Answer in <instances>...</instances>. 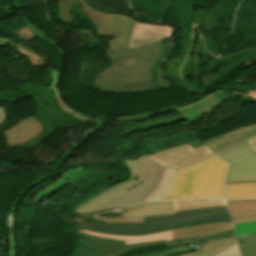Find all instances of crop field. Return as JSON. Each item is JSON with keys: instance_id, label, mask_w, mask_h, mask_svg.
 <instances>
[{"instance_id": "crop-field-26", "label": "crop field", "mask_w": 256, "mask_h": 256, "mask_svg": "<svg viewBox=\"0 0 256 256\" xmlns=\"http://www.w3.org/2000/svg\"><path fill=\"white\" fill-rule=\"evenodd\" d=\"M238 237L256 235V221L234 225Z\"/></svg>"}, {"instance_id": "crop-field-3", "label": "crop field", "mask_w": 256, "mask_h": 256, "mask_svg": "<svg viewBox=\"0 0 256 256\" xmlns=\"http://www.w3.org/2000/svg\"><path fill=\"white\" fill-rule=\"evenodd\" d=\"M227 167L226 163L215 156L180 170L174 187L165 200L224 197V172Z\"/></svg>"}, {"instance_id": "crop-field-14", "label": "crop field", "mask_w": 256, "mask_h": 256, "mask_svg": "<svg viewBox=\"0 0 256 256\" xmlns=\"http://www.w3.org/2000/svg\"><path fill=\"white\" fill-rule=\"evenodd\" d=\"M90 8L110 15H121L133 21L138 17L132 12L130 6L125 4V0H83Z\"/></svg>"}, {"instance_id": "crop-field-1", "label": "crop field", "mask_w": 256, "mask_h": 256, "mask_svg": "<svg viewBox=\"0 0 256 256\" xmlns=\"http://www.w3.org/2000/svg\"><path fill=\"white\" fill-rule=\"evenodd\" d=\"M231 221L225 206L175 212V215L144 217V223H81L78 228L110 235L142 236L181 227Z\"/></svg>"}, {"instance_id": "crop-field-16", "label": "crop field", "mask_w": 256, "mask_h": 256, "mask_svg": "<svg viewBox=\"0 0 256 256\" xmlns=\"http://www.w3.org/2000/svg\"><path fill=\"white\" fill-rule=\"evenodd\" d=\"M234 224L256 220L255 200H227Z\"/></svg>"}, {"instance_id": "crop-field-20", "label": "crop field", "mask_w": 256, "mask_h": 256, "mask_svg": "<svg viewBox=\"0 0 256 256\" xmlns=\"http://www.w3.org/2000/svg\"><path fill=\"white\" fill-rule=\"evenodd\" d=\"M236 243L234 237H227L223 239L214 240L204 247L199 249V252L195 251L181 256H213L216 253L226 249L232 244Z\"/></svg>"}, {"instance_id": "crop-field-33", "label": "crop field", "mask_w": 256, "mask_h": 256, "mask_svg": "<svg viewBox=\"0 0 256 256\" xmlns=\"http://www.w3.org/2000/svg\"><path fill=\"white\" fill-rule=\"evenodd\" d=\"M0 45H2V46H4V47H6V46H7V44H2L1 42H0Z\"/></svg>"}, {"instance_id": "crop-field-23", "label": "crop field", "mask_w": 256, "mask_h": 256, "mask_svg": "<svg viewBox=\"0 0 256 256\" xmlns=\"http://www.w3.org/2000/svg\"><path fill=\"white\" fill-rule=\"evenodd\" d=\"M58 172H60V171H57V170L52 169L51 172L48 173L47 175H45L44 177H42V178H40V179H38V180H36V181H34V182H32V183L26 185V186L23 188V190L20 192V194L18 195V197H17V199H16V201H15V203H14V205H13V208H12V215H13L14 208H15L17 202H18L20 199H22V198L28 196L26 193H27L31 188H33V187L39 185L40 183H42L43 181H45V180L48 179L49 177H51V176L57 174ZM13 225H14V219H13L12 230H11V236H12V256H16V253H15V246H16V244H15V241H14Z\"/></svg>"}, {"instance_id": "crop-field-13", "label": "crop field", "mask_w": 256, "mask_h": 256, "mask_svg": "<svg viewBox=\"0 0 256 256\" xmlns=\"http://www.w3.org/2000/svg\"><path fill=\"white\" fill-rule=\"evenodd\" d=\"M172 26L137 23L128 47L140 46L171 37Z\"/></svg>"}, {"instance_id": "crop-field-30", "label": "crop field", "mask_w": 256, "mask_h": 256, "mask_svg": "<svg viewBox=\"0 0 256 256\" xmlns=\"http://www.w3.org/2000/svg\"><path fill=\"white\" fill-rule=\"evenodd\" d=\"M233 234H234V229L224 231V232H221V233H217V234H213V235H209V236H204V237H201V238H202L203 241H207V240H211V239H215V238L230 236V235H233Z\"/></svg>"}, {"instance_id": "crop-field-27", "label": "crop field", "mask_w": 256, "mask_h": 256, "mask_svg": "<svg viewBox=\"0 0 256 256\" xmlns=\"http://www.w3.org/2000/svg\"><path fill=\"white\" fill-rule=\"evenodd\" d=\"M185 249H186V251H183ZM192 250H195V249L179 246V247L168 249V250H162V251L147 253V254H144V255H141V256H176L180 253H184V252L192 251Z\"/></svg>"}, {"instance_id": "crop-field-29", "label": "crop field", "mask_w": 256, "mask_h": 256, "mask_svg": "<svg viewBox=\"0 0 256 256\" xmlns=\"http://www.w3.org/2000/svg\"><path fill=\"white\" fill-rule=\"evenodd\" d=\"M215 256H240V252L237 247V244H234Z\"/></svg>"}, {"instance_id": "crop-field-24", "label": "crop field", "mask_w": 256, "mask_h": 256, "mask_svg": "<svg viewBox=\"0 0 256 256\" xmlns=\"http://www.w3.org/2000/svg\"><path fill=\"white\" fill-rule=\"evenodd\" d=\"M242 256H256V236L237 239Z\"/></svg>"}, {"instance_id": "crop-field-12", "label": "crop field", "mask_w": 256, "mask_h": 256, "mask_svg": "<svg viewBox=\"0 0 256 256\" xmlns=\"http://www.w3.org/2000/svg\"><path fill=\"white\" fill-rule=\"evenodd\" d=\"M256 136V125L242 127L223 134L217 138L205 141V144L215 154L226 150L234 145H238L243 141ZM235 147V146H234Z\"/></svg>"}, {"instance_id": "crop-field-7", "label": "crop field", "mask_w": 256, "mask_h": 256, "mask_svg": "<svg viewBox=\"0 0 256 256\" xmlns=\"http://www.w3.org/2000/svg\"><path fill=\"white\" fill-rule=\"evenodd\" d=\"M232 228H233L232 223L226 222V223H219V224H210V225L181 228V229H176L169 232H163V233H158V234L143 236V237L110 236V235H104V234L94 233L90 231H78V232L93 235V236L103 237V238H114V239L123 240V241H126L125 245H129V244L143 243V242L160 240V239L172 240V239H178V238L204 236V235H209V234L221 232V231L232 229Z\"/></svg>"}, {"instance_id": "crop-field-17", "label": "crop field", "mask_w": 256, "mask_h": 256, "mask_svg": "<svg viewBox=\"0 0 256 256\" xmlns=\"http://www.w3.org/2000/svg\"><path fill=\"white\" fill-rule=\"evenodd\" d=\"M112 21L115 28V34L114 39L109 41L110 48H126L135 23L117 16H112Z\"/></svg>"}, {"instance_id": "crop-field-15", "label": "crop field", "mask_w": 256, "mask_h": 256, "mask_svg": "<svg viewBox=\"0 0 256 256\" xmlns=\"http://www.w3.org/2000/svg\"><path fill=\"white\" fill-rule=\"evenodd\" d=\"M121 211L123 213V217L174 214L172 201L149 202L145 204L121 208Z\"/></svg>"}, {"instance_id": "crop-field-6", "label": "crop field", "mask_w": 256, "mask_h": 256, "mask_svg": "<svg viewBox=\"0 0 256 256\" xmlns=\"http://www.w3.org/2000/svg\"><path fill=\"white\" fill-rule=\"evenodd\" d=\"M152 159L153 158H151L149 155H143L136 161H124L130 171L131 179L118 185L112 186L108 191H105L104 193L96 196L94 199L80 206L74 211L76 213L91 212L92 210L100 207L111 199L117 197L118 195L128 191L130 188L139 185L141 182H143L146 170Z\"/></svg>"}, {"instance_id": "crop-field-9", "label": "crop field", "mask_w": 256, "mask_h": 256, "mask_svg": "<svg viewBox=\"0 0 256 256\" xmlns=\"http://www.w3.org/2000/svg\"><path fill=\"white\" fill-rule=\"evenodd\" d=\"M212 154L213 153L206 146L193 150L192 147L187 144L157 153L151 157L167 167L182 169L208 158L212 156Z\"/></svg>"}, {"instance_id": "crop-field-8", "label": "crop field", "mask_w": 256, "mask_h": 256, "mask_svg": "<svg viewBox=\"0 0 256 256\" xmlns=\"http://www.w3.org/2000/svg\"><path fill=\"white\" fill-rule=\"evenodd\" d=\"M163 170L164 166L153 160L147 170L144 182L142 184L120 195L116 199L106 203L94 211L142 203L158 187Z\"/></svg>"}, {"instance_id": "crop-field-5", "label": "crop field", "mask_w": 256, "mask_h": 256, "mask_svg": "<svg viewBox=\"0 0 256 256\" xmlns=\"http://www.w3.org/2000/svg\"><path fill=\"white\" fill-rule=\"evenodd\" d=\"M217 156L230 163L226 184L256 182V154L246 142Z\"/></svg>"}, {"instance_id": "crop-field-32", "label": "crop field", "mask_w": 256, "mask_h": 256, "mask_svg": "<svg viewBox=\"0 0 256 256\" xmlns=\"http://www.w3.org/2000/svg\"><path fill=\"white\" fill-rule=\"evenodd\" d=\"M6 120V111L4 108L0 107V124Z\"/></svg>"}, {"instance_id": "crop-field-18", "label": "crop field", "mask_w": 256, "mask_h": 256, "mask_svg": "<svg viewBox=\"0 0 256 256\" xmlns=\"http://www.w3.org/2000/svg\"><path fill=\"white\" fill-rule=\"evenodd\" d=\"M100 91H107L113 93H134L154 91L152 82L150 83H132V84H100L93 85Z\"/></svg>"}, {"instance_id": "crop-field-22", "label": "crop field", "mask_w": 256, "mask_h": 256, "mask_svg": "<svg viewBox=\"0 0 256 256\" xmlns=\"http://www.w3.org/2000/svg\"><path fill=\"white\" fill-rule=\"evenodd\" d=\"M177 171L174 169L166 168L162 177L161 184L159 187L148 197L145 202L162 200L166 197L169 192L173 181L176 177Z\"/></svg>"}, {"instance_id": "crop-field-4", "label": "crop field", "mask_w": 256, "mask_h": 256, "mask_svg": "<svg viewBox=\"0 0 256 256\" xmlns=\"http://www.w3.org/2000/svg\"><path fill=\"white\" fill-rule=\"evenodd\" d=\"M69 231L80 236V238L77 240L80 246L79 251L73 256H120L128 251H132L147 246L166 244V246L169 247L192 242H201L200 237H196L178 239L173 241L160 240L144 244L124 246L125 242L123 241L93 237L85 234H80L73 230Z\"/></svg>"}, {"instance_id": "crop-field-19", "label": "crop field", "mask_w": 256, "mask_h": 256, "mask_svg": "<svg viewBox=\"0 0 256 256\" xmlns=\"http://www.w3.org/2000/svg\"><path fill=\"white\" fill-rule=\"evenodd\" d=\"M174 209L186 210L195 208H206L225 205V199L223 198H197V199H181L175 200Z\"/></svg>"}, {"instance_id": "crop-field-10", "label": "crop field", "mask_w": 256, "mask_h": 256, "mask_svg": "<svg viewBox=\"0 0 256 256\" xmlns=\"http://www.w3.org/2000/svg\"><path fill=\"white\" fill-rule=\"evenodd\" d=\"M76 4L84 13L93 19V23L97 25V32L100 35L113 36L114 29L111 21V16H105L88 9L81 0H59L58 5L60 9L59 16L62 21L70 22L72 19L69 17V10L71 5Z\"/></svg>"}, {"instance_id": "crop-field-11", "label": "crop field", "mask_w": 256, "mask_h": 256, "mask_svg": "<svg viewBox=\"0 0 256 256\" xmlns=\"http://www.w3.org/2000/svg\"><path fill=\"white\" fill-rule=\"evenodd\" d=\"M17 124L4 132L8 146L26 143L38 136L43 130V125L35 116H29L26 120H18Z\"/></svg>"}, {"instance_id": "crop-field-31", "label": "crop field", "mask_w": 256, "mask_h": 256, "mask_svg": "<svg viewBox=\"0 0 256 256\" xmlns=\"http://www.w3.org/2000/svg\"><path fill=\"white\" fill-rule=\"evenodd\" d=\"M249 146L252 148L254 153H256V138L250 139L247 141Z\"/></svg>"}, {"instance_id": "crop-field-2", "label": "crop field", "mask_w": 256, "mask_h": 256, "mask_svg": "<svg viewBox=\"0 0 256 256\" xmlns=\"http://www.w3.org/2000/svg\"><path fill=\"white\" fill-rule=\"evenodd\" d=\"M162 40L148 45L110 49V64L114 66L94 82L101 83H132L152 81L151 69L161 54Z\"/></svg>"}, {"instance_id": "crop-field-28", "label": "crop field", "mask_w": 256, "mask_h": 256, "mask_svg": "<svg viewBox=\"0 0 256 256\" xmlns=\"http://www.w3.org/2000/svg\"><path fill=\"white\" fill-rule=\"evenodd\" d=\"M95 220H102L107 222H143V217L140 218H109L93 216Z\"/></svg>"}, {"instance_id": "crop-field-25", "label": "crop field", "mask_w": 256, "mask_h": 256, "mask_svg": "<svg viewBox=\"0 0 256 256\" xmlns=\"http://www.w3.org/2000/svg\"><path fill=\"white\" fill-rule=\"evenodd\" d=\"M19 14L21 15V17L24 18L25 20V25L26 27H28L37 37L42 38L43 40L55 45L57 47V49L59 50L60 54L62 55V57H64V53H63V49L59 48L57 43H59V40H52L47 38L46 36H42V34L44 35L45 33L41 32L39 29L35 28L34 24H32L28 18L25 16V14L20 10Z\"/></svg>"}, {"instance_id": "crop-field-21", "label": "crop field", "mask_w": 256, "mask_h": 256, "mask_svg": "<svg viewBox=\"0 0 256 256\" xmlns=\"http://www.w3.org/2000/svg\"><path fill=\"white\" fill-rule=\"evenodd\" d=\"M226 199L256 197V183L225 185Z\"/></svg>"}]
</instances>
